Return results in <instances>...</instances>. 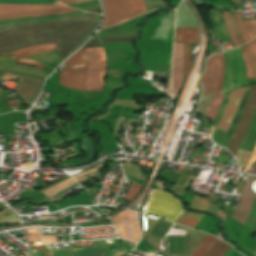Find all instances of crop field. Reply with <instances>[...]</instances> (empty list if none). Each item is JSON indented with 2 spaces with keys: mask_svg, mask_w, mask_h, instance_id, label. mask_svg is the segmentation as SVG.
Wrapping results in <instances>:
<instances>
[{
  "mask_svg": "<svg viewBox=\"0 0 256 256\" xmlns=\"http://www.w3.org/2000/svg\"><path fill=\"white\" fill-rule=\"evenodd\" d=\"M99 15L82 14L45 21L0 26V53L58 41L60 63L94 31Z\"/></svg>",
  "mask_w": 256,
  "mask_h": 256,
  "instance_id": "1",
  "label": "crop field"
},
{
  "mask_svg": "<svg viewBox=\"0 0 256 256\" xmlns=\"http://www.w3.org/2000/svg\"><path fill=\"white\" fill-rule=\"evenodd\" d=\"M87 77H86V52L80 50L70 58L61 71L60 83L83 91L85 77L86 92L103 91L104 77L106 72V58L104 48L87 49Z\"/></svg>",
  "mask_w": 256,
  "mask_h": 256,
  "instance_id": "2",
  "label": "crop field"
},
{
  "mask_svg": "<svg viewBox=\"0 0 256 256\" xmlns=\"http://www.w3.org/2000/svg\"><path fill=\"white\" fill-rule=\"evenodd\" d=\"M101 1L105 9L101 28L123 23L147 12L143 0Z\"/></svg>",
  "mask_w": 256,
  "mask_h": 256,
  "instance_id": "3",
  "label": "crop field"
},
{
  "mask_svg": "<svg viewBox=\"0 0 256 256\" xmlns=\"http://www.w3.org/2000/svg\"><path fill=\"white\" fill-rule=\"evenodd\" d=\"M184 211L180 201L167 192L156 190L145 213L175 221Z\"/></svg>",
  "mask_w": 256,
  "mask_h": 256,
  "instance_id": "4",
  "label": "crop field"
},
{
  "mask_svg": "<svg viewBox=\"0 0 256 256\" xmlns=\"http://www.w3.org/2000/svg\"><path fill=\"white\" fill-rule=\"evenodd\" d=\"M224 77V54L219 53L207 59L206 70L202 77L203 95L221 93Z\"/></svg>",
  "mask_w": 256,
  "mask_h": 256,
  "instance_id": "5",
  "label": "crop field"
},
{
  "mask_svg": "<svg viewBox=\"0 0 256 256\" xmlns=\"http://www.w3.org/2000/svg\"><path fill=\"white\" fill-rule=\"evenodd\" d=\"M235 50H236L238 62H239V75H238V63H237ZM235 50L233 49L231 51L224 52L225 53V78H224L222 93L231 91L233 88L236 87L237 75H238L237 87L246 85L245 84L246 72H245V67L243 64L240 48L239 47L235 48Z\"/></svg>",
  "mask_w": 256,
  "mask_h": 256,
  "instance_id": "6",
  "label": "crop field"
},
{
  "mask_svg": "<svg viewBox=\"0 0 256 256\" xmlns=\"http://www.w3.org/2000/svg\"><path fill=\"white\" fill-rule=\"evenodd\" d=\"M248 88L249 87H247L246 90H245V93H244L243 99L241 101V104L239 106V109L237 111V114H236V116L234 118V121H233V123H232V125H231V127H230V129H229V131L227 133V135H226L225 142H224V145H223V147H225V148H226V145H227L228 134H229V132H230V130H231V128H232V126H233V124H234V122H235V120H236V118H237V116H238V114H239V112H240V110H241L245 100H246ZM255 89H256V85L253 86V87H250L247 100H246V102H245V104H244V106H243V108H242V110H241V112H240V114H239V116H238V118H237V120H236V122H235V124H234V126H233V128L231 130V132H230V134H229V140H228V145H227L226 149H228L230 152H232V149H233V146H234V142H235V140H236V138H237V136H238V134H239V132H240L244 122H245L247 113H248V111L250 109V106H251V104L253 102V98H254V94H255Z\"/></svg>",
  "mask_w": 256,
  "mask_h": 256,
  "instance_id": "7",
  "label": "crop field"
},
{
  "mask_svg": "<svg viewBox=\"0 0 256 256\" xmlns=\"http://www.w3.org/2000/svg\"><path fill=\"white\" fill-rule=\"evenodd\" d=\"M245 88H239L231 93L230 100L217 126V129L227 131L240 104Z\"/></svg>",
  "mask_w": 256,
  "mask_h": 256,
  "instance_id": "8",
  "label": "crop field"
},
{
  "mask_svg": "<svg viewBox=\"0 0 256 256\" xmlns=\"http://www.w3.org/2000/svg\"><path fill=\"white\" fill-rule=\"evenodd\" d=\"M254 193L251 191L250 187L247 183H245L243 190L240 194V198L235 210V213L232 218L238 220L240 223L244 225L254 200Z\"/></svg>",
  "mask_w": 256,
  "mask_h": 256,
  "instance_id": "9",
  "label": "crop field"
},
{
  "mask_svg": "<svg viewBox=\"0 0 256 256\" xmlns=\"http://www.w3.org/2000/svg\"><path fill=\"white\" fill-rule=\"evenodd\" d=\"M214 240L215 238L207 235L190 256H202ZM228 247L229 245L216 239L203 256H223Z\"/></svg>",
  "mask_w": 256,
  "mask_h": 256,
  "instance_id": "10",
  "label": "crop field"
},
{
  "mask_svg": "<svg viewBox=\"0 0 256 256\" xmlns=\"http://www.w3.org/2000/svg\"><path fill=\"white\" fill-rule=\"evenodd\" d=\"M182 58H183V45H174L173 68H172V83H173V90H174V99L176 98L181 85Z\"/></svg>",
  "mask_w": 256,
  "mask_h": 256,
  "instance_id": "11",
  "label": "crop field"
},
{
  "mask_svg": "<svg viewBox=\"0 0 256 256\" xmlns=\"http://www.w3.org/2000/svg\"><path fill=\"white\" fill-rule=\"evenodd\" d=\"M55 8H68L63 4H48V5H6L0 4V13H16L22 11L47 10Z\"/></svg>",
  "mask_w": 256,
  "mask_h": 256,
  "instance_id": "12",
  "label": "crop field"
},
{
  "mask_svg": "<svg viewBox=\"0 0 256 256\" xmlns=\"http://www.w3.org/2000/svg\"><path fill=\"white\" fill-rule=\"evenodd\" d=\"M77 11H79V10L69 8V9H61V10L30 12V13L3 14V15H0V20H2V19H14V18H27V17L60 15V14L73 13V12H77Z\"/></svg>",
  "mask_w": 256,
  "mask_h": 256,
  "instance_id": "13",
  "label": "crop field"
},
{
  "mask_svg": "<svg viewBox=\"0 0 256 256\" xmlns=\"http://www.w3.org/2000/svg\"><path fill=\"white\" fill-rule=\"evenodd\" d=\"M174 44H199L198 30L176 28Z\"/></svg>",
  "mask_w": 256,
  "mask_h": 256,
  "instance_id": "14",
  "label": "crop field"
},
{
  "mask_svg": "<svg viewBox=\"0 0 256 256\" xmlns=\"http://www.w3.org/2000/svg\"><path fill=\"white\" fill-rule=\"evenodd\" d=\"M58 49L57 42L54 43H48V44H43V45H38V46H32V47H27L23 48L18 51H14L16 59L25 57V56H30L50 50H56Z\"/></svg>",
  "mask_w": 256,
  "mask_h": 256,
  "instance_id": "15",
  "label": "crop field"
},
{
  "mask_svg": "<svg viewBox=\"0 0 256 256\" xmlns=\"http://www.w3.org/2000/svg\"><path fill=\"white\" fill-rule=\"evenodd\" d=\"M256 141V111L248 127L245 138L239 147L240 150L252 152Z\"/></svg>",
  "mask_w": 256,
  "mask_h": 256,
  "instance_id": "16",
  "label": "crop field"
},
{
  "mask_svg": "<svg viewBox=\"0 0 256 256\" xmlns=\"http://www.w3.org/2000/svg\"><path fill=\"white\" fill-rule=\"evenodd\" d=\"M136 37L137 36L90 40L83 48L103 47L101 43L132 42Z\"/></svg>",
  "mask_w": 256,
  "mask_h": 256,
  "instance_id": "17",
  "label": "crop field"
},
{
  "mask_svg": "<svg viewBox=\"0 0 256 256\" xmlns=\"http://www.w3.org/2000/svg\"><path fill=\"white\" fill-rule=\"evenodd\" d=\"M247 72V85L256 83L253 67L251 65L245 44L240 46Z\"/></svg>",
  "mask_w": 256,
  "mask_h": 256,
  "instance_id": "18",
  "label": "crop field"
},
{
  "mask_svg": "<svg viewBox=\"0 0 256 256\" xmlns=\"http://www.w3.org/2000/svg\"><path fill=\"white\" fill-rule=\"evenodd\" d=\"M190 70H191V45H184L183 79H182L181 87L183 86Z\"/></svg>",
  "mask_w": 256,
  "mask_h": 256,
  "instance_id": "19",
  "label": "crop field"
},
{
  "mask_svg": "<svg viewBox=\"0 0 256 256\" xmlns=\"http://www.w3.org/2000/svg\"><path fill=\"white\" fill-rule=\"evenodd\" d=\"M255 108H256V95H255V99H254V102L252 104V107L250 109L249 115L247 117V120L245 122V125H244V127H243V129H242V131H241V133H240V135H239V137H238V139H237V141L235 143V147H234V151H233L234 156H236V151H237L238 147L240 146V144H241V142L243 140V137L245 135L247 127H248V125H249V123H250V121L252 119V116H253Z\"/></svg>",
  "mask_w": 256,
  "mask_h": 256,
  "instance_id": "20",
  "label": "crop field"
},
{
  "mask_svg": "<svg viewBox=\"0 0 256 256\" xmlns=\"http://www.w3.org/2000/svg\"><path fill=\"white\" fill-rule=\"evenodd\" d=\"M205 214H198V213H189L185 218H183L179 224L186 225L189 227L194 228L204 217Z\"/></svg>",
  "mask_w": 256,
  "mask_h": 256,
  "instance_id": "21",
  "label": "crop field"
},
{
  "mask_svg": "<svg viewBox=\"0 0 256 256\" xmlns=\"http://www.w3.org/2000/svg\"><path fill=\"white\" fill-rule=\"evenodd\" d=\"M223 96H224V94H215L214 95V98H213L210 110L207 114V117L214 119V117L220 107V104L222 102Z\"/></svg>",
  "mask_w": 256,
  "mask_h": 256,
  "instance_id": "22",
  "label": "crop field"
},
{
  "mask_svg": "<svg viewBox=\"0 0 256 256\" xmlns=\"http://www.w3.org/2000/svg\"><path fill=\"white\" fill-rule=\"evenodd\" d=\"M0 3L6 4H47L59 3L55 0H0Z\"/></svg>",
  "mask_w": 256,
  "mask_h": 256,
  "instance_id": "23",
  "label": "crop field"
},
{
  "mask_svg": "<svg viewBox=\"0 0 256 256\" xmlns=\"http://www.w3.org/2000/svg\"><path fill=\"white\" fill-rule=\"evenodd\" d=\"M81 13H85V12L80 11V12L73 13V14L60 15V16H52V17L28 18V19H19V20H3V21H0V25L11 24V23H16V22H22V21H29V20H42V19L61 18V17L70 16V15H76V14H81Z\"/></svg>",
  "mask_w": 256,
  "mask_h": 256,
  "instance_id": "24",
  "label": "crop field"
},
{
  "mask_svg": "<svg viewBox=\"0 0 256 256\" xmlns=\"http://www.w3.org/2000/svg\"><path fill=\"white\" fill-rule=\"evenodd\" d=\"M256 75V39L246 44Z\"/></svg>",
  "mask_w": 256,
  "mask_h": 256,
  "instance_id": "25",
  "label": "crop field"
},
{
  "mask_svg": "<svg viewBox=\"0 0 256 256\" xmlns=\"http://www.w3.org/2000/svg\"><path fill=\"white\" fill-rule=\"evenodd\" d=\"M223 17H224V21H225V24H226L227 31H228V33H229V35H230V37L233 41L234 46L236 47L239 44H238L237 38L235 36V33H234V31L231 27L230 20H229V17H228V13L223 11Z\"/></svg>",
  "mask_w": 256,
  "mask_h": 256,
  "instance_id": "26",
  "label": "crop field"
},
{
  "mask_svg": "<svg viewBox=\"0 0 256 256\" xmlns=\"http://www.w3.org/2000/svg\"><path fill=\"white\" fill-rule=\"evenodd\" d=\"M4 64H17L12 52L0 54V65Z\"/></svg>",
  "mask_w": 256,
  "mask_h": 256,
  "instance_id": "27",
  "label": "crop field"
},
{
  "mask_svg": "<svg viewBox=\"0 0 256 256\" xmlns=\"http://www.w3.org/2000/svg\"><path fill=\"white\" fill-rule=\"evenodd\" d=\"M246 30L249 34L250 39H254L256 36V20L244 22Z\"/></svg>",
  "mask_w": 256,
  "mask_h": 256,
  "instance_id": "28",
  "label": "crop field"
},
{
  "mask_svg": "<svg viewBox=\"0 0 256 256\" xmlns=\"http://www.w3.org/2000/svg\"><path fill=\"white\" fill-rule=\"evenodd\" d=\"M141 187L142 186L135 185L132 183V185L130 186L128 192L126 193L124 199L131 201L133 198L136 197V195L139 192V190L141 189Z\"/></svg>",
  "mask_w": 256,
  "mask_h": 256,
  "instance_id": "29",
  "label": "crop field"
},
{
  "mask_svg": "<svg viewBox=\"0 0 256 256\" xmlns=\"http://www.w3.org/2000/svg\"><path fill=\"white\" fill-rule=\"evenodd\" d=\"M229 16H230L232 27H233V29H234V31L236 33L237 38H238L239 44L240 45L244 44L245 43L244 39H243V37H242V35L240 33V30H239V28L237 26L236 21H235V14L229 13Z\"/></svg>",
  "mask_w": 256,
  "mask_h": 256,
  "instance_id": "30",
  "label": "crop field"
},
{
  "mask_svg": "<svg viewBox=\"0 0 256 256\" xmlns=\"http://www.w3.org/2000/svg\"><path fill=\"white\" fill-rule=\"evenodd\" d=\"M230 93H231V92H230ZM230 93H228V94H226V95L224 96V100H223V102H222L221 108H220V110H219V112H218V114H217V116H216V118H215V120H214L212 126H215V127H216V125H217V123H218V121H219V119H220V117H221V115H222V113H223V111H224V108H225V106H226V104H227V102H228V100H229Z\"/></svg>",
  "mask_w": 256,
  "mask_h": 256,
  "instance_id": "31",
  "label": "crop field"
},
{
  "mask_svg": "<svg viewBox=\"0 0 256 256\" xmlns=\"http://www.w3.org/2000/svg\"><path fill=\"white\" fill-rule=\"evenodd\" d=\"M255 219H256V197H255L254 204H253L251 213L249 215V218H248L247 222L245 223V226L251 228Z\"/></svg>",
  "mask_w": 256,
  "mask_h": 256,
  "instance_id": "32",
  "label": "crop field"
},
{
  "mask_svg": "<svg viewBox=\"0 0 256 256\" xmlns=\"http://www.w3.org/2000/svg\"><path fill=\"white\" fill-rule=\"evenodd\" d=\"M236 21L238 23V26H239L241 32H242V35H243V37L245 39V42L250 41V39L248 37V34H247L246 30H245V27H244V25L242 23L241 14H236Z\"/></svg>",
  "mask_w": 256,
  "mask_h": 256,
  "instance_id": "33",
  "label": "crop field"
},
{
  "mask_svg": "<svg viewBox=\"0 0 256 256\" xmlns=\"http://www.w3.org/2000/svg\"><path fill=\"white\" fill-rule=\"evenodd\" d=\"M17 63L18 64H26V65H30V66H33V67H37V68H44L45 65L37 62V61H33V60H27V59H18L17 60Z\"/></svg>",
  "mask_w": 256,
  "mask_h": 256,
  "instance_id": "34",
  "label": "crop field"
},
{
  "mask_svg": "<svg viewBox=\"0 0 256 256\" xmlns=\"http://www.w3.org/2000/svg\"><path fill=\"white\" fill-rule=\"evenodd\" d=\"M18 77H21V76L2 73L1 80H4V79H17Z\"/></svg>",
  "mask_w": 256,
  "mask_h": 256,
  "instance_id": "35",
  "label": "crop field"
},
{
  "mask_svg": "<svg viewBox=\"0 0 256 256\" xmlns=\"http://www.w3.org/2000/svg\"><path fill=\"white\" fill-rule=\"evenodd\" d=\"M255 160H256V147H255V150H254V152H253V154H252L251 160H250V162L248 163V165H247V167H246V169H245V171H244L245 173L247 172V169H248L250 163H251V162L254 163Z\"/></svg>",
  "mask_w": 256,
  "mask_h": 256,
  "instance_id": "36",
  "label": "crop field"
},
{
  "mask_svg": "<svg viewBox=\"0 0 256 256\" xmlns=\"http://www.w3.org/2000/svg\"><path fill=\"white\" fill-rule=\"evenodd\" d=\"M61 3H74V2H81V1H87V0H58Z\"/></svg>",
  "mask_w": 256,
  "mask_h": 256,
  "instance_id": "37",
  "label": "crop field"
},
{
  "mask_svg": "<svg viewBox=\"0 0 256 256\" xmlns=\"http://www.w3.org/2000/svg\"><path fill=\"white\" fill-rule=\"evenodd\" d=\"M234 251L235 250L230 246V248L227 250L224 256H231L234 253Z\"/></svg>",
  "mask_w": 256,
  "mask_h": 256,
  "instance_id": "38",
  "label": "crop field"
},
{
  "mask_svg": "<svg viewBox=\"0 0 256 256\" xmlns=\"http://www.w3.org/2000/svg\"><path fill=\"white\" fill-rule=\"evenodd\" d=\"M253 180H254V177H249L247 181L249 182L250 185H252Z\"/></svg>",
  "mask_w": 256,
  "mask_h": 256,
  "instance_id": "39",
  "label": "crop field"
},
{
  "mask_svg": "<svg viewBox=\"0 0 256 256\" xmlns=\"http://www.w3.org/2000/svg\"><path fill=\"white\" fill-rule=\"evenodd\" d=\"M251 173L256 174V162H255V165H254V167H253Z\"/></svg>",
  "mask_w": 256,
  "mask_h": 256,
  "instance_id": "40",
  "label": "crop field"
},
{
  "mask_svg": "<svg viewBox=\"0 0 256 256\" xmlns=\"http://www.w3.org/2000/svg\"><path fill=\"white\" fill-rule=\"evenodd\" d=\"M32 256H42L39 253H32Z\"/></svg>",
  "mask_w": 256,
  "mask_h": 256,
  "instance_id": "41",
  "label": "crop field"
},
{
  "mask_svg": "<svg viewBox=\"0 0 256 256\" xmlns=\"http://www.w3.org/2000/svg\"><path fill=\"white\" fill-rule=\"evenodd\" d=\"M0 72H4V71H0ZM6 73H11V72H6ZM13 74H17V73H13ZM23 75V74H22ZM28 76V75H27ZM34 77V76H31ZM35 78H39V77H35ZM40 79V78H39Z\"/></svg>",
  "mask_w": 256,
  "mask_h": 256,
  "instance_id": "42",
  "label": "crop field"
},
{
  "mask_svg": "<svg viewBox=\"0 0 256 256\" xmlns=\"http://www.w3.org/2000/svg\"><path fill=\"white\" fill-rule=\"evenodd\" d=\"M120 256H126V255L121 254Z\"/></svg>",
  "mask_w": 256,
  "mask_h": 256,
  "instance_id": "43",
  "label": "crop field"
},
{
  "mask_svg": "<svg viewBox=\"0 0 256 256\" xmlns=\"http://www.w3.org/2000/svg\"><path fill=\"white\" fill-rule=\"evenodd\" d=\"M1 89V88H0Z\"/></svg>",
  "mask_w": 256,
  "mask_h": 256,
  "instance_id": "44",
  "label": "crop field"
}]
</instances>
